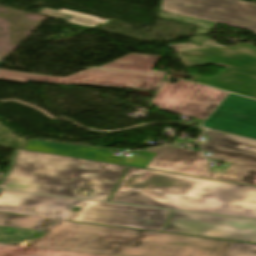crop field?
I'll return each mask as SVG.
<instances>
[{"instance_id":"crop-field-6","label":"crop field","mask_w":256,"mask_h":256,"mask_svg":"<svg viewBox=\"0 0 256 256\" xmlns=\"http://www.w3.org/2000/svg\"><path fill=\"white\" fill-rule=\"evenodd\" d=\"M161 10L256 34V4L239 0H162Z\"/></svg>"},{"instance_id":"crop-field-19","label":"crop field","mask_w":256,"mask_h":256,"mask_svg":"<svg viewBox=\"0 0 256 256\" xmlns=\"http://www.w3.org/2000/svg\"><path fill=\"white\" fill-rule=\"evenodd\" d=\"M225 256H256V245L232 242Z\"/></svg>"},{"instance_id":"crop-field-8","label":"crop field","mask_w":256,"mask_h":256,"mask_svg":"<svg viewBox=\"0 0 256 256\" xmlns=\"http://www.w3.org/2000/svg\"><path fill=\"white\" fill-rule=\"evenodd\" d=\"M163 77V75L154 74L89 69L64 78H59L0 70V79L8 81L27 83L30 80H36L63 85L78 84L146 90H156Z\"/></svg>"},{"instance_id":"crop-field-21","label":"crop field","mask_w":256,"mask_h":256,"mask_svg":"<svg viewBox=\"0 0 256 256\" xmlns=\"http://www.w3.org/2000/svg\"><path fill=\"white\" fill-rule=\"evenodd\" d=\"M2 176H0V180H1Z\"/></svg>"},{"instance_id":"crop-field-1","label":"crop field","mask_w":256,"mask_h":256,"mask_svg":"<svg viewBox=\"0 0 256 256\" xmlns=\"http://www.w3.org/2000/svg\"><path fill=\"white\" fill-rule=\"evenodd\" d=\"M110 201L256 219V187L128 167Z\"/></svg>"},{"instance_id":"crop-field-7","label":"crop field","mask_w":256,"mask_h":256,"mask_svg":"<svg viewBox=\"0 0 256 256\" xmlns=\"http://www.w3.org/2000/svg\"><path fill=\"white\" fill-rule=\"evenodd\" d=\"M228 93L179 80L163 82L151 104L157 109L205 120Z\"/></svg>"},{"instance_id":"crop-field-12","label":"crop field","mask_w":256,"mask_h":256,"mask_svg":"<svg viewBox=\"0 0 256 256\" xmlns=\"http://www.w3.org/2000/svg\"><path fill=\"white\" fill-rule=\"evenodd\" d=\"M216 66L227 69L212 78L194 74L192 76L197 82L256 98V61L216 64Z\"/></svg>"},{"instance_id":"crop-field-9","label":"crop field","mask_w":256,"mask_h":256,"mask_svg":"<svg viewBox=\"0 0 256 256\" xmlns=\"http://www.w3.org/2000/svg\"><path fill=\"white\" fill-rule=\"evenodd\" d=\"M163 231L256 242V220L172 211Z\"/></svg>"},{"instance_id":"crop-field-13","label":"crop field","mask_w":256,"mask_h":256,"mask_svg":"<svg viewBox=\"0 0 256 256\" xmlns=\"http://www.w3.org/2000/svg\"><path fill=\"white\" fill-rule=\"evenodd\" d=\"M159 58L160 56L129 54L123 58H120L114 62H111L98 68L123 69L149 73L167 74V72L164 71L152 70L157 61L159 60Z\"/></svg>"},{"instance_id":"crop-field-18","label":"crop field","mask_w":256,"mask_h":256,"mask_svg":"<svg viewBox=\"0 0 256 256\" xmlns=\"http://www.w3.org/2000/svg\"><path fill=\"white\" fill-rule=\"evenodd\" d=\"M158 16L196 25L197 27H196L193 35L198 34V33L207 34V32L216 25L214 23L200 21V20H196V19H192V18H188V17H184V16H179V15H175V14H170V13H166V12H162V11H159Z\"/></svg>"},{"instance_id":"crop-field-10","label":"crop field","mask_w":256,"mask_h":256,"mask_svg":"<svg viewBox=\"0 0 256 256\" xmlns=\"http://www.w3.org/2000/svg\"><path fill=\"white\" fill-rule=\"evenodd\" d=\"M167 46L175 50L185 67L256 59V47L251 43L224 47L208 36H192L189 43Z\"/></svg>"},{"instance_id":"crop-field-15","label":"crop field","mask_w":256,"mask_h":256,"mask_svg":"<svg viewBox=\"0 0 256 256\" xmlns=\"http://www.w3.org/2000/svg\"><path fill=\"white\" fill-rule=\"evenodd\" d=\"M39 12L46 15L53 16V17H57V18L62 17L67 22H71L77 25L86 26L90 28H95L98 25H107L111 22V20L100 19L96 16L79 13V12L68 11L64 9L55 11L52 9L41 8L39 9ZM68 16H71L73 18H69Z\"/></svg>"},{"instance_id":"crop-field-5","label":"crop field","mask_w":256,"mask_h":256,"mask_svg":"<svg viewBox=\"0 0 256 256\" xmlns=\"http://www.w3.org/2000/svg\"><path fill=\"white\" fill-rule=\"evenodd\" d=\"M204 151L212 152L209 159L230 163L223 176L210 174L209 165L202 152L170 146L143 150L157 153L146 168L214 178L256 186V141L212 130Z\"/></svg>"},{"instance_id":"crop-field-3","label":"crop field","mask_w":256,"mask_h":256,"mask_svg":"<svg viewBox=\"0 0 256 256\" xmlns=\"http://www.w3.org/2000/svg\"><path fill=\"white\" fill-rule=\"evenodd\" d=\"M126 169L17 150L0 188L109 201Z\"/></svg>"},{"instance_id":"crop-field-14","label":"crop field","mask_w":256,"mask_h":256,"mask_svg":"<svg viewBox=\"0 0 256 256\" xmlns=\"http://www.w3.org/2000/svg\"><path fill=\"white\" fill-rule=\"evenodd\" d=\"M0 256H112L92 253L46 250L37 248H20L9 245H0Z\"/></svg>"},{"instance_id":"crop-field-4","label":"crop field","mask_w":256,"mask_h":256,"mask_svg":"<svg viewBox=\"0 0 256 256\" xmlns=\"http://www.w3.org/2000/svg\"><path fill=\"white\" fill-rule=\"evenodd\" d=\"M0 212L161 231L171 211L1 190Z\"/></svg>"},{"instance_id":"crop-field-2","label":"crop field","mask_w":256,"mask_h":256,"mask_svg":"<svg viewBox=\"0 0 256 256\" xmlns=\"http://www.w3.org/2000/svg\"><path fill=\"white\" fill-rule=\"evenodd\" d=\"M30 247L125 256H224L230 242L57 221Z\"/></svg>"},{"instance_id":"crop-field-20","label":"crop field","mask_w":256,"mask_h":256,"mask_svg":"<svg viewBox=\"0 0 256 256\" xmlns=\"http://www.w3.org/2000/svg\"><path fill=\"white\" fill-rule=\"evenodd\" d=\"M47 232H42V231H39L37 232L36 234H34L33 236H31L30 238L16 244V245H21V246H28L30 245L31 243L35 242L36 240H38L39 238H41L42 236L46 235Z\"/></svg>"},{"instance_id":"crop-field-11","label":"crop field","mask_w":256,"mask_h":256,"mask_svg":"<svg viewBox=\"0 0 256 256\" xmlns=\"http://www.w3.org/2000/svg\"><path fill=\"white\" fill-rule=\"evenodd\" d=\"M204 126L256 138V100L230 94Z\"/></svg>"},{"instance_id":"crop-field-16","label":"crop field","mask_w":256,"mask_h":256,"mask_svg":"<svg viewBox=\"0 0 256 256\" xmlns=\"http://www.w3.org/2000/svg\"><path fill=\"white\" fill-rule=\"evenodd\" d=\"M54 220L0 214V226L40 230Z\"/></svg>"},{"instance_id":"crop-field-17","label":"crop field","mask_w":256,"mask_h":256,"mask_svg":"<svg viewBox=\"0 0 256 256\" xmlns=\"http://www.w3.org/2000/svg\"><path fill=\"white\" fill-rule=\"evenodd\" d=\"M36 232L35 230L0 227V244L15 245Z\"/></svg>"}]
</instances>
